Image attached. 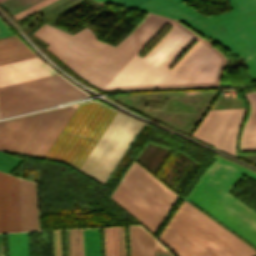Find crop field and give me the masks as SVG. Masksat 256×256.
<instances>
[{"label": "crop field", "mask_w": 256, "mask_h": 256, "mask_svg": "<svg viewBox=\"0 0 256 256\" xmlns=\"http://www.w3.org/2000/svg\"><path fill=\"white\" fill-rule=\"evenodd\" d=\"M168 20L148 13L116 47L97 40L87 28L71 35L44 24L33 35L48 43L47 49L68 67L105 91L218 85L227 58L202 37L167 69L197 36L180 22L144 59L136 56Z\"/></svg>", "instance_id": "1"}, {"label": "crop field", "mask_w": 256, "mask_h": 256, "mask_svg": "<svg viewBox=\"0 0 256 256\" xmlns=\"http://www.w3.org/2000/svg\"><path fill=\"white\" fill-rule=\"evenodd\" d=\"M17 37L0 40V88L56 75ZM87 96L59 75L0 89V118Z\"/></svg>", "instance_id": "2"}, {"label": "crop field", "mask_w": 256, "mask_h": 256, "mask_svg": "<svg viewBox=\"0 0 256 256\" xmlns=\"http://www.w3.org/2000/svg\"><path fill=\"white\" fill-rule=\"evenodd\" d=\"M202 18L182 2L168 0ZM234 11L201 19L165 0H150L135 9L180 19L221 44L236 56L256 52V0H229ZM245 61L250 77L256 76V53L239 56ZM250 78V80H254Z\"/></svg>", "instance_id": "3"}, {"label": "crop field", "mask_w": 256, "mask_h": 256, "mask_svg": "<svg viewBox=\"0 0 256 256\" xmlns=\"http://www.w3.org/2000/svg\"><path fill=\"white\" fill-rule=\"evenodd\" d=\"M158 239L176 256H253L256 253L185 201Z\"/></svg>", "instance_id": "4"}, {"label": "crop field", "mask_w": 256, "mask_h": 256, "mask_svg": "<svg viewBox=\"0 0 256 256\" xmlns=\"http://www.w3.org/2000/svg\"><path fill=\"white\" fill-rule=\"evenodd\" d=\"M243 174L256 179L255 173L219 158L187 198L256 246V213L229 194Z\"/></svg>", "instance_id": "5"}, {"label": "crop field", "mask_w": 256, "mask_h": 256, "mask_svg": "<svg viewBox=\"0 0 256 256\" xmlns=\"http://www.w3.org/2000/svg\"><path fill=\"white\" fill-rule=\"evenodd\" d=\"M116 114L95 101L79 104L44 158L79 170Z\"/></svg>", "instance_id": "6"}, {"label": "crop field", "mask_w": 256, "mask_h": 256, "mask_svg": "<svg viewBox=\"0 0 256 256\" xmlns=\"http://www.w3.org/2000/svg\"><path fill=\"white\" fill-rule=\"evenodd\" d=\"M77 106L0 121V151L43 158Z\"/></svg>", "instance_id": "7"}, {"label": "crop field", "mask_w": 256, "mask_h": 256, "mask_svg": "<svg viewBox=\"0 0 256 256\" xmlns=\"http://www.w3.org/2000/svg\"><path fill=\"white\" fill-rule=\"evenodd\" d=\"M142 126L118 112L79 171L104 184Z\"/></svg>", "instance_id": "8"}, {"label": "crop field", "mask_w": 256, "mask_h": 256, "mask_svg": "<svg viewBox=\"0 0 256 256\" xmlns=\"http://www.w3.org/2000/svg\"><path fill=\"white\" fill-rule=\"evenodd\" d=\"M245 108L210 110L193 137L235 155V143Z\"/></svg>", "instance_id": "9"}, {"label": "crop field", "mask_w": 256, "mask_h": 256, "mask_svg": "<svg viewBox=\"0 0 256 256\" xmlns=\"http://www.w3.org/2000/svg\"><path fill=\"white\" fill-rule=\"evenodd\" d=\"M158 181L134 161L120 183L164 217L178 196Z\"/></svg>", "instance_id": "10"}, {"label": "crop field", "mask_w": 256, "mask_h": 256, "mask_svg": "<svg viewBox=\"0 0 256 256\" xmlns=\"http://www.w3.org/2000/svg\"><path fill=\"white\" fill-rule=\"evenodd\" d=\"M20 231L17 178L0 172V232Z\"/></svg>", "instance_id": "11"}, {"label": "crop field", "mask_w": 256, "mask_h": 256, "mask_svg": "<svg viewBox=\"0 0 256 256\" xmlns=\"http://www.w3.org/2000/svg\"><path fill=\"white\" fill-rule=\"evenodd\" d=\"M21 231L37 230L34 184L18 178Z\"/></svg>", "instance_id": "12"}, {"label": "crop field", "mask_w": 256, "mask_h": 256, "mask_svg": "<svg viewBox=\"0 0 256 256\" xmlns=\"http://www.w3.org/2000/svg\"><path fill=\"white\" fill-rule=\"evenodd\" d=\"M251 112L240 137V151H256V92L244 93Z\"/></svg>", "instance_id": "13"}, {"label": "crop field", "mask_w": 256, "mask_h": 256, "mask_svg": "<svg viewBox=\"0 0 256 256\" xmlns=\"http://www.w3.org/2000/svg\"><path fill=\"white\" fill-rule=\"evenodd\" d=\"M130 256H154L153 238L141 227H129Z\"/></svg>", "instance_id": "14"}, {"label": "crop field", "mask_w": 256, "mask_h": 256, "mask_svg": "<svg viewBox=\"0 0 256 256\" xmlns=\"http://www.w3.org/2000/svg\"><path fill=\"white\" fill-rule=\"evenodd\" d=\"M106 256H126L124 227L104 228Z\"/></svg>", "instance_id": "15"}, {"label": "crop field", "mask_w": 256, "mask_h": 256, "mask_svg": "<svg viewBox=\"0 0 256 256\" xmlns=\"http://www.w3.org/2000/svg\"><path fill=\"white\" fill-rule=\"evenodd\" d=\"M9 256H28L27 232L8 233Z\"/></svg>", "instance_id": "16"}, {"label": "crop field", "mask_w": 256, "mask_h": 256, "mask_svg": "<svg viewBox=\"0 0 256 256\" xmlns=\"http://www.w3.org/2000/svg\"><path fill=\"white\" fill-rule=\"evenodd\" d=\"M85 256H101L99 228L83 229Z\"/></svg>", "instance_id": "17"}, {"label": "crop field", "mask_w": 256, "mask_h": 256, "mask_svg": "<svg viewBox=\"0 0 256 256\" xmlns=\"http://www.w3.org/2000/svg\"><path fill=\"white\" fill-rule=\"evenodd\" d=\"M40 0H0V4L12 15Z\"/></svg>", "instance_id": "18"}, {"label": "crop field", "mask_w": 256, "mask_h": 256, "mask_svg": "<svg viewBox=\"0 0 256 256\" xmlns=\"http://www.w3.org/2000/svg\"><path fill=\"white\" fill-rule=\"evenodd\" d=\"M71 256H83L82 230H70Z\"/></svg>", "instance_id": "19"}, {"label": "crop field", "mask_w": 256, "mask_h": 256, "mask_svg": "<svg viewBox=\"0 0 256 256\" xmlns=\"http://www.w3.org/2000/svg\"><path fill=\"white\" fill-rule=\"evenodd\" d=\"M22 160L0 153V170L10 173Z\"/></svg>", "instance_id": "20"}, {"label": "crop field", "mask_w": 256, "mask_h": 256, "mask_svg": "<svg viewBox=\"0 0 256 256\" xmlns=\"http://www.w3.org/2000/svg\"><path fill=\"white\" fill-rule=\"evenodd\" d=\"M54 1H56V0H43V1H41V2L31 6L29 8H27V9H25V10L15 14V15H13V17H15L18 20V19H20V18H22V17H24V16H26V15L36 11V10H38V9H40V8H42V7L46 6V5L54 2Z\"/></svg>", "instance_id": "21"}, {"label": "crop field", "mask_w": 256, "mask_h": 256, "mask_svg": "<svg viewBox=\"0 0 256 256\" xmlns=\"http://www.w3.org/2000/svg\"><path fill=\"white\" fill-rule=\"evenodd\" d=\"M54 256H62L61 231H52Z\"/></svg>", "instance_id": "22"}, {"label": "crop field", "mask_w": 256, "mask_h": 256, "mask_svg": "<svg viewBox=\"0 0 256 256\" xmlns=\"http://www.w3.org/2000/svg\"><path fill=\"white\" fill-rule=\"evenodd\" d=\"M146 1H148V0H114L111 3H115V4H119V5L134 8V7L144 3Z\"/></svg>", "instance_id": "23"}, {"label": "crop field", "mask_w": 256, "mask_h": 256, "mask_svg": "<svg viewBox=\"0 0 256 256\" xmlns=\"http://www.w3.org/2000/svg\"><path fill=\"white\" fill-rule=\"evenodd\" d=\"M154 247H155V256H171L155 240H154Z\"/></svg>", "instance_id": "24"}, {"label": "crop field", "mask_w": 256, "mask_h": 256, "mask_svg": "<svg viewBox=\"0 0 256 256\" xmlns=\"http://www.w3.org/2000/svg\"><path fill=\"white\" fill-rule=\"evenodd\" d=\"M11 31L0 20V37L11 35Z\"/></svg>", "instance_id": "25"}, {"label": "crop field", "mask_w": 256, "mask_h": 256, "mask_svg": "<svg viewBox=\"0 0 256 256\" xmlns=\"http://www.w3.org/2000/svg\"><path fill=\"white\" fill-rule=\"evenodd\" d=\"M0 256H2V242H1V234H0Z\"/></svg>", "instance_id": "26"}, {"label": "crop field", "mask_w": 256, "mask_h": 256, "mask_svg": "<svg viewBox=\"0 0 256 256\" xmlns=\"http://www.w3.org/2000/svg\"><path fill=\"white\" fill-rule=\"evenodd\" d=\"M101 1L109 2V1H111V0H101Z\"/></svg>", "instance_id": "27"}]
</instances>
